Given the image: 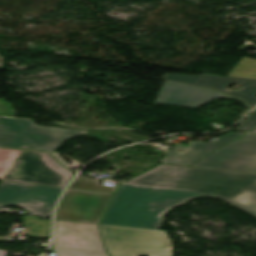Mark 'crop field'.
<instances>
[{"mask_svg":"<svg viewBox=\"0 0 256 256\" xmlns=\"http://www.w3.org/2000/svg\"><path fill=\"white\" fill-rule=\"evenodd\" d=\"M126 183L220 197L256 216V174L160 165Z\"/></svg>","mask_w":256,"mask_h":256,"instance_id":"crop-field-1","label":"crop field"},{"mask_svg":"<svg viewBox=\"0 0 256 256\" xmlns=\"http://www.w3.org/2000/svg\"><path fill=\"white\" fill-rule=\"evenodd\" d=\"M199 197L195 192L122 184L101 224L159 230L169 209Z\"/></svg>","mask_w":256,"mask_h":256,"instance_id":"crop-field-2","label":"crop field"},{"mask_svg":"<svg viewBox=\"0 0 256 256\" xmlns=\"http://www.w3.org/2000/svg\"><path fill=\"white\" fill-rule=\"evenodd\" d=\"M49 153L0 149V179L63 187L73 176Z\"/></svg>","mask_w":256,"mask_h":256,"instance_id":"crop-field-3","label":"crop field"},{"mask_svg":"<svg viewBox=\"0 0 256 256\" xmlns=\"http://www.w3.org/2000/svg\"><path fill=\"white\" fill-rule=\"evenodd\" d=\"M82 134L85 131L38 126L33 120L0 118L1 147L54 152Z\"/></svg>","mask_w":256,"mask_h":256,"instance_id":"crop-field-4","label":"crop field"},{"mask_svg":"<svg viewBox=\"0 0 256 256\" xmlns=\"http://www.w3.org/2000/svg\"><path fill=\"white\" fill-rule=\"evenodd\" d=\"M112 256H171L172 246L165 231L100 226Z\"/></svg>","mask_w":256,"mask_h":256,"instance_id":"crop-field-5","label":"crop field"},{"mask_svg":"<svg viewBox=\"0 0 256 256\" xmlns=\"http://www.w3.org/2000/svg\"><path fill=\"white\" fill-rule=\"evenodd\" d=\"M98 225L56 221L57 256H108Z\"/></svg>","mask_w":256,"mask_h":256,"instance_id":"crop-field-6","label":"crop field"},{"mask_svg":"<svg viewBox=\"0 0 256 256\" xmlns=\"http://www.w3.org/2000/svg\"><path fill=\"white\" fill-rule=\"evenodd\" d=\"M63 188L1 182L0 207L20 206L32 215L51 217L52 209Z\"/></svg>","mask_w":256,"mask_h":256,"instance_id":"crop-field-7","label":"crop field"},{"mask_svg":"<svg viewBox=\"0 0 256 256\" xmlns=\"http://www.w3.org/2000/svg\"><path fill=\"white\" fill-rule=\"evenodd\" d=\"M113 194L67 189L56 220L98 224Z\"/></svg>","mask_w":256,"mask_h":256,"instance_id":"crop-field-8","label":"crop field"},{"mask_svg":"<svg viewBox=\"0 0 256 256\" xmlns=\"http://www.w3.org/2000/svg\"><path fill=\"white\" fill-rule=\"evenodd\" d=\"M192 166L256 173V135L247 134Z\"/></svg>","mask_w":256,"mask_h":256,"instance_id":"crop-field-9","label":"crop field"},{"mask_svg":"<svg viewBox=\"0 0 256 256\" xmlns=\"http://www.w3.org/2000/svg\"><path fill=\"white\" fill-rule=\"evenodd\" d=\"M163 80L219 90L222 91L225 95L236 97L247 102L251 108L256 106V80L210 74H203L198 76L166 74ZM236 83L241 84L242 91L227 90L230 85Z\"/></svg>","mask_w":256,"mask_h":256,"instance_id":"crop-field-10","label":"crop field"},{"mask_svg":"<svg viewBox=\"0 0 256 256\" xmlns=\"http://www.w3.org/2000/svg\"><path fill=\"white\" fill-rule=\"evenodd\" d=\"M213 98H230V97H227L218 92H213V91H209V90H205L197 87L171 83V82H164L154 103L197 108L211 101ZM230 99H233V98H230ZM245 105L247 106V104Z\"/></svg>","mask_w":256,"mask_h":256,"instance_id":"crop-field-11","label":"crop field"},{"mask_svg":"<svg viewBox=\"0 0 256 256\" xmlns=\"http://www.w3.org/2000/svg\"><path fill=\"white\" fill-rule=\"evenodd\" d=\"M219 147L221 146L201 142H190L189 147L174 146L160 163L190 165ZM177 149H182L185 152L179 153L176 151Z\"/></svg>","mask_w":256,"mask_h":256,"instance_id":"crop-field-12","label":"crop field"},{"mask_svg":"<svg viewBox=\"0 0 256 256\" xmlns=\"http://www.w3.org/2000/svg\"><path fill=\"white\" fill-rule=\"evenodd\" d=\"M101 181L95 180L92 178L78 176L69 188L73 189H82V190H91V191H100V192H109L114 193L117 188V185L114 187L105 186L100 184Z\"/></svg>","mask_w":256,"mask_h":256,"instance_id":"crop-field-13","label":"crop field"},{"mask_svg":"<svg viewBox=\"0 0 256 256\" xmlns=\"http://www.w3.org/2000/svg\"><path fill=\"white\" fill-rule=\"evenodd\" d=\"M228 76L256 79V59L243 57Z\"/></svg>","mask_w":256,"mask_h":256,"instance_id":"crop-field-14","label":"crop field"},{"mask_svg":"<svg viewBox=\"0 0 256 256\" xmlns=\"http://www.w3.org/2000/svg\"><path fill=\"white\" fill-rule=\"evenodd\" d=\"M254 127H256V110L252 112L247 118H245L242 121V124L235 129L241 131H248Z\"/></svg>","mask_w":256,"mask_h":256,"instance_id":"crop-field-15","label":"crop field"},{"mask_svg":"<svg viewBox=\"0 0 256 256\" xmlns=\"http://www.w3.org/2000/svg\"><path fill=\"white\" fill-rule=\"evenodd\" d=\"M0 116L16 117L12 105L0 99Z\"/></svg>","mask_w":256,"mask_h":256,"instance_id":"crop-field-16","label":"crop field"},{"mask_svg":"<svg viewBox=\"0 0 256 256\" xmlns=\"http://www.w3.org/2000/svg\"><path fill=\"white\" fill-rule=\"evenodd\" d=\"M229 141H231V139H226V138L219 137L216 141L207 142V143H214V144L224 145V144L228 143ZM201 142H205V141H201Z\"/></svg>","mask_w":256,"mask_h":256,"instance_id":"crop-field-17","label":"crop field"},{"mask_svg":"<svg viewBox=\"0 0 256 256\" xmlns=\"http://www.w3.org/2000/svg\"><path fill=\"white\" fill-rule=\"evenodd\" d=\"M241 134H243V133L228 132V133L222 135L221 137H226V138L234 139V138L238 137V136L241 135Z\"/></svg>","mask_w":256,"mask_h":256,"instance_id":"crop-field-18","label":"crop field"},{"mask_svg":"<svg viewBox=\"0 0 256 256\" xmlns=\"http://www.w3.org/2000/svg\"><path fill=\"white\" fill-rule=\"evenodd\" d=\"M2 60H3V57L0 56V68H1Z\"/></svg>","mask_w":256,"mask_h":256,"instance_id":"crop-field-19","label":"crop field"},{"mask_svg":"<svg viewBox=\"0 0 256 256\" xmlns=\"http://www.w3.org/2000/svg\"><path fill=\"white\" fill-rule=\"evenodd\" d=\"M252 133H256V130L252 131Z\"/></svg>","mask_w":256,"mask_h":256,"instance_id":"crop-field-20","label":"crop field"}]
</instances>
